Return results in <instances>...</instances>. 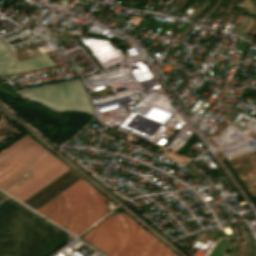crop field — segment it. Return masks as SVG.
I'll return each instance as SVG.
<instances>
[{
	"instance_id": "5a996713",
	"label": "crop field",
	"mask_w": 256,
	"mask_h": 256,
	"mask_svg": "<svg viewBox=\"0 0 256 256\" xmlns=\"http://www.w3.org/2000/svg\"><path fill=\"white\" fill-rule=\"evenodd\" d=\"M219 1H220V0H218V2H217L216 5L213 7V9L217 6V4L219 3ZM213 9H212V10H213ZM212 10L207 14L206 18H207L208 15L212 12ZM206 18H205V19H206ZM203 20H204V19H203ZM204 21H205V20H204ZM204 21H203V22H204ZM202 25H203V23H202Z\"/></svg>"
},
{
	"instance_id": "d8731c3e",
	"label": "crop field",
	"mask_w": 256,
	"mask_h": 256,
	"mask_svg": "<svg viewBox=\"0 0 256 256\" xmlns=\"http://www.w3.org/2000/svg\"><path fill=\"white\" fill-rule=\"evenodd\" d=\"M242 2H243L244 4H245V2H246V4H247L250 8H252L254 11H256V8L249 2V0H245V2H244V1H242ZM246 4H245V5H246ZM247 5H246V6H247ZM248 6H247V7H248ZM249 7H248V8H249ZM250 8H249V9H250ZM250 10H251V9H250ZM253 10H251V11L256 14V12H254Z\"/></svg>"
},
{
	"instance_id": "3316defc",
	"label": "crop field",
	"mask_w": 256,
	"mask_h": 256,
	"mask_svg": "<svg viewBox=\"0 0 256 256\" xmlns=\"http://www.w3.org/2000/svg\"><path fill=\"white\" fill-rule=\"evenodd\" d=\"M192 26H193V25H191L190 28L187 30V32L184 34V37H185V35L188 33V31L191 29Z\"/></svg>"
},
{
	"instance_id": "e52e79f7",
	"label": "crop field",
	"mask_w": 256,
	"mask_h": 256,
	"mask_svg": "<svg viewBox=\"0 0 256 256\" xmlns=\"http://www.w3.org/2000/svg\"><path fill=\"white\" fill-rule=\"evenodd\" d=\"M204 2H205V0H204L197 8H199ZM200 9H201V7H200L197 11H199ZM195 11H196V10H194V11L190 14V16L187 18V20L190 19V17L195 13ZM197 11H196V12H197ZM195 17H196V14H194V15L191 17L190 21H192Z\"/></svg>"
},
{
	"instance_id": "8a807250",
	"label": "crop field",
	"mask_w": 256,
	"mask_h": 256,
	"mask_svg": "<svg viewBox=\"0 0 256 256\" xmlns=\"http://www.w3.org/2000/svg\"><path fill=\"white\" fill-rule=\"evenodd\" d=\"M67 169L27 135L0 153V188L23 201Z\"/></svg>"
},
{
	"instance_id": "dd49c442",
	"label": "crop field",
	"mask_w": 256,
	"mask_h": 256,
	"mask_svg": "<svg viewBox=\"0 0 256 256\" xmlns=\"http://www.w3.org/2000/svg\"><path fill=\"white\" fill-rule=\"evenodd\" d=\"M251 18L248 17V19L246 20V22L244 23V25L241 28V31H244L245 27L247 26V24L249 23ZM253 20L251 19L250 23L248 24L247 28L245 29L246 32H248L250 26L252 25Z\"/></svg>"
},
{
	"instance_id": "34b2d1b8",
	"label": "crop field",
	"mask_w": 256,
	"mask_h": 256,
	"mask_svg": "<svg viewBox=\"0 0 256 256\" xmlns=\"http://www.w3.org/2000/svg\"><path fill=\"white\" fill-rule=\"evenodd\" d=\"M106 200L82 178L36 211L78 235L108 213Z\"/></svg>"
},
{
	"instance_id": "ac0d7876",
	"label": "crop field",
	"mask_w": 256,
	"mask_h": 256,
	"mask_svg": "<svg viewBox=\"0 0 256 256\" xmlns=\"http://www.w3.org/2000/svg\"><path fill=\"white\" fill-rule=\"evenodd\" d=\"M82 239L109 256H176L124 213L104 219Z\"/></svg>"
},
{
	"instance_id": "28ad6ade",
	"label": "crop field",
	"mask_w": 256,
	"mask_h": 256,
	"mask_svg": "<svg viewBox=\"0 0 256 256\" xmlns=\"http://www.w3.org/2000/svg\"><path fill=\"white\" fill-rule=\"evenodd\" d=\"M1 198V197H0Z\"/></svg>"
},
{
	"instance_id": "f4fd0767",
	"label": "crop field",
	"mask_w": 256,
	"mask_h": 256,
	"mask_svg": "<svg viewBox=\"0 0 256 256\" xmlns=\"http://www.w3.org/2000/svg\"><path fill=\"white\" fill-rule=\"evenodd\" d=\"M57 66L47 55L19 63L0 40V77Z\"/></svg>"
},
{
	"instance_id": "412701ff",
	"label": "crop field",
	"mask_w": 256,
	"mask_h": 256,
	"mask_svg": "<svg viewBox=\"0 0 256 256\" xmlns=\"http://www.w3.org/2000/svg\"><path fill=\"white\" fill-rule=\"evenodd\" d=\"M18 93L55 111H83L93 114L92 105L80 80L24 90Z\"/></svg>"
}]
</instances>
